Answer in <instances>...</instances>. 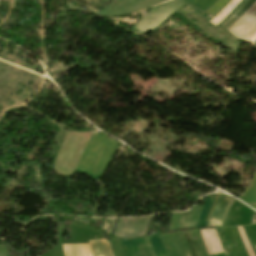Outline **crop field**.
<instances>
[{
    "label": "crop field",
    "instance_id": "obj_5",
    "mask_svg": "<svg viewBox=\"0 0 256 256\" xmlns=\"http://www.w3.org/2000/svg\"><path fill=\"white\" fill-rule=\"evenodd\" d=\"M64 256H92L89 244L62 245Z\"/></svg>",
    "mask_w": 256,
    "mask_h": 256
},
{
    "label": "crop field",
    "instance_id": "obj_3",
    "mask_svg": "<svg viewBox=\"0 0 256 256\" xmlns=\"http://www.w3.org/2000/svg\"><path fill=\"white\" fill-rule=\"evenodd\" d=\"M230 199L226 196L217 195L215 204L210 212L207 225L221 226L223 215L227 209Z\"/></svg>",
    "mask_w": 256,
    "mask_h": 256
},
{
    "label": "crop field",
    "instance_id": "obj_6",
    "mask_svg": "<svg viewBox=\"0 0 256 256\" xmlns=\"http://www.w3.org/2000/svg\"><path fill=\"white\" fill-rule=\"evenodd\" d=\"M93 256H113L107 240L89 241Z\"/></svg>",
    "mask_w": 256,
    "mask_h": 256
},
{
    "label": "crop field",
    "instance_id": "obj_2",
    "mask_svg": "<svg viewBox=\"0 0 256 256\" xmlns=\"http://www.w3.org/2000/svg\"><path fill=\"white\" fill-rule=\"evenodd\" d=\"M228 31L252 44L256 42V3Z\"/></svg>",
    "mask_w": 256,
    "mask_h": 256
},
{
    "label": "crop field",
    "instance_id": "obj_4",
    "mask_svg": "<svg viewBox=\"0 0 256 256\" xmlns=\"http://www.w3.org/2000/svg\"><path fill=\"white\" fill-rule=\"evenodd\" d=\"M200 231L209 253L223 250L215 229Z\"/></svg>",
    "mask_w": 256,
    "mask_h": 256
},
{
    "label": "crop field",
    "instance_id": "obj_1",
    "mask_svg": "<svg viewBox=\"0 0 256 256\" xmlns=\"http://www.w3.org/2000/svg\"><path fill=\"white\" fill-rule=\"evenodd\" d=\"M110 240L115 256H166L159 234L130 241Z\"/></svg>",
    "mask_w": 256,
    "mask_h": 256
},
{
    "label": "crop field",
    "instance_id": "obj_7",
    "mask_svg": "<svg viewBox=\"0 0 256 256\" xmlns=\"http://www.w3.org/2000/svg\"><path fill=\"white\" fill-rule=\"evenodd\" d=\"M217 194L215 195H210L207 197L203 208H202V212L198 221V225L197 227H202V226H206L207 220H208V216H209V212L214 204L215 201V197Z\"/></svg>",
    "mask_w": 256,
    "mask_h": 256
},
{
    "label": "crop field",
    "instance_id": "obj_8",
    "mask_svg": "<svg viewBox=\"0 0 256 256\" xmlns=\"http://www.w3.org/2000/svg\"><path fill=\"white\" fill-rule=\"evenodd\" d=\"M256 2V0H247L243 6L233 15V17L226 21L222 26L227 30Z\"/></svg>",
    "mask_w": 256,
    "mask_h": 256
},
{
    "label": "crop field",
    "instance_id": "obj_9",
    "mask_svg": "<svg viewBox=\"0 0 256 256\" xmlns=\"http://www.w3.org/2000/svg\"><path fill=\"white\" fill-rule=\"evenodd\" d=\"M237 228H238V230H239V233H240V235H241V237H242V240H243V242H244V245H245V247H246V249H247V252H248L249 256H255V255H254V252H253V250H252V248H251V246H250V244H249V242H248V239H247V237H246V234H245V232H244L243 227H242V226H239V227H237Z\"/></svg>",
    "mask_w": 256,
    "mask_h": 256
}]
</instances>
